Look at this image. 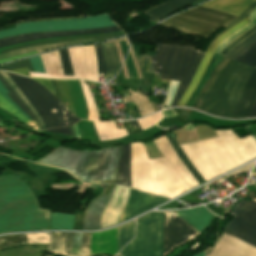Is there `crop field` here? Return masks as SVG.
<instances>
[{
    "instance_id": "1",
    "label": "crop field",
    "mask_w": 256,
    "mask_h": 256,
    "mask_svg": "<svg viewBox=\"0 0 256 256\" xmlns=\"http://www.w3.org/2000/svg\"><path fill=\"white\" fill-rule=\"evenodd\" d=\"M235 60L256 67V41ZM235 60H221L193 108L220 117L247 116L256 96V68Z\"/></svg>"
},
{
    "instance_id": "2",
    "label": "crop field",
    "mask_w": 256,
    "mask_h": 256,
    "mask_svg": "<svg viewBox=\"0 0 256 256\" xmlns=\"http://www.w3.org/2000/svg\"><path fill=\"white\" fill-rule=\"evenodd\" d=\"M50 211L41 210L24 182L12 175L0 177V233L49 229Z\"/></svg>"
},
{
    "instance_id": "3",
    "label": "crop field",
    "mask_w": 256,
    "mask_h": 256,
    "mask_svg": "<svg viewBox=\"0 0 256 256\" xmlns=\"http://www.w3.org/2000/svg\"><path fill=\"white\" fill-rule=\"evenodd\" d=\"M121 148L116 146L95 152H82L59 146L35 162L60 167L82 181L115 183Z\"/></svg>"
},
{
    "instance_id": "4",
    "label": "crop field",
    "mask_w": 256,
    "mask_h": 256,
    "mask_svg": "<svg viewBox=\"0 0 256 256\" xmlns=\"http://www.w3.org/2000/svg\"><path fill=\"white\" fill-rule=\"evenodd\" d=\"M194 49L188 46L157 45L154 57L151 56L153 77L181 80L172 106L179 102L204 55ZM136 58L141 71L151 73L150 56Z\"/></svg>"
},
{
    "instance_id": "5",
    "label": "crop field",
    "mask_w": 256,
    "mask_h": 256,
    "mask_svg": "<svg viewBox=\"0 0 256 256\" xmlns=\"http://www.w3.org/2000/svg\"><path fill=\"white\" fill-rule=\"evenodd\" d=\"M115 25L109 15H100L97 17H85L80 20L69 21H45V22H28L18 24L13 29L0 32V38L22 33L41 32V31H53V30H68V29H82L102 26ZM121 31L118 26L83 29V30H69V31H56V32H41L24 34L20 36L8 37L0 39V48L23 42H29L34 40H40L52 37L72 36V35H84L94 33L105 32H117Z\"/></svg>"
},
{
    "instance_id": "6",
    "label": "crop field",
    "mask_w": 256,
    "mask_h": 256,
    "mask_svg": "<svg viewBox=\"0 0 256 256\" xmlns=\"http://www.w3.org/2000/svg\"><path fill=\"white\" fill-rule=\"evenodd\" d=\"M254 1L255 0H211L203 6L238 15ZM203 6H199L168 19L160 25L166 28L172 26L184 33L202 35L208 38L215 30L236 17V15Z\"/></svg>"
},
{
    "instance_id": "7",
    "label": "crop field",
    "mask_w": 256,
    "mask_h": 256,
    "mask_svg": "<svg viewBox=\"0 0 256 256\" xmlns=\"http://www.w3.org/2000/svg\"><path fill=\"white\" fill-rule=\"evenodd\" d=\"M8 74L41 116L47 129L68 126L80 120L36 81L16 74Z\"/></svg>"
},
{
    "instance_id": "8",
    "label": "crop field",
    "mask_w": 256,
    "mask_h": 256,
    "mask_svg": "<svg viewBox=\"0 0 256 256\" xmlns=\"http://www.w3.org/2000/svg\"><path fill=\"white\" fill-rule=\"evenodd\" d=\"M164 212H151L136 220L135 238L119 256H162Z\"/></svg>"
},
{
    "instance_id": "9",
    "label": "crop field",
    "mask_w": 256,
    "mask_h": 256,
    "mask_svg": "<svg viewBox=\"0 0 256 256\" xmlns=\"http://www.w3.org/2000/svg\"><path fill=\"white\" fill-rule=\"evenodd\" d=\"M231 215L234 219L226 225L224 232L256 246V202H238Z\"/></svg>"
},
{
    "instance_id": "10",
    "label": "crop field",
    "mask_w": 256,
    "mask_h": 256,
    "mask_svg": "<svg viewBox=\"0 0 256 256\" xmlns=\"http://www.w3.org/2000/svg\"><path fill=\"white\" fill-rule=\"evenodd\" d=\"M199 234L179 216L172 212H165L163 256L170 253L175 247L194 239Z\"/></svg>"
},
{
    "instance_id": "11",
    "label": "crop field",
    "mask_w": 256,
    "mask_h": 256,
    "mask_svg": "<svg viewBox=\"0 0 256 256\" xmlns=\"http://www.w3.org/2000/svg\"><path fill=\"white\" fill-rule=\"evenodd\" d=\"M169 199L131 189L127 204L121 215V222L154 208Z\"/></svg>"
},
{
    "instance_id": "12",
    "label": "crop field",
    "mask_w": 256,
    "mask_h": 256,
    "mask_svg": "<svg viewBox=\"0 0 256 256\" xmlns=\"http://www.w3.org/2000/svg\"><path fill=\"white\" fill-rule=\"evenodd\" d=\"M247 22H249L248 18L246 17L244 20H242L239 24L235 25L234 27H232L231 29L227 30L226 32L220 34L210 45L209 49L207 50V52L205 53L196 73L195 76L192 80V82L190 83V85L188 86V88L186 89L184 95L182 96L180 102L178 103L177 106H184V104L186 103L187 99L189 98V96L192 94V92L195 90L200 78L202 77L208 62L214 52V50L217 48V46L231 33H233L234 31H236L237 29H239L240 27H242L244 24H246ZM248 24V23H247Z\"/></svg>"
},
{
    "instance_id": "13",
    "label": "crop field",
    "mask_w": 256,
    "mask_h": 256,
    "mask_svg": "<svg viewBox=\"0 0 256 256\" xmlns=\"http://www.w3.org/2000/svg\"><path fill=\"white\" fill-rule=\"evenodd\" d=\"M115 185H107L104 192L90 201L84 217L83 230H94L99 228L100 217L113 192Z\"/></svg>"
},
{
    "instance_id": "14",
    "label": "crop field",
    "mask_w": 256,
    "mask_h": 256,
    "mask_svg": "<svg viewBox=\"0 0 256 256\" xmlns=\"http://www.w3.org/2000/svg\"><path fill=\"white\" fill-rule=\"evenodd\" d=\"M90 233H83L81 256H90ZM73 233H53L51 252L57 255L74 256L70 254Z\"/></svg>"
},
{
    "instance_id": "15",
    "label": "crop field",
    "mask_w": 256,
    "mask_h": 256,
    "mask_svg": "<svg viewBox=\"0 0 256 256\" xmlns=\"http://www.w3.org/2000/svg\"><path fill=\"white\" fill-rule=\"evenodd\" d=\"M100 254L117 255V227L92 233L91 256Z\"/></svg>"
},
{
    "instance_id": "16",
    "label": "crop field",
    "mask_w": 256,
    "mask_h": 256,
    "mask_svg": "<svg viewBox=\"0 0 256 256\" xmlns=\"http://www.w3.org/2000/svg\"><path fill=\"white\" fill-rule=\"evenodd\" d=\"M175 213L200 233L211 216L204 207L193 208L185 211H175Z\"/></svg>"
},
{
    "instance_id": "17",
    "label": "crop field",
    "mask_w": 256,
    "mask_h": 256,
    "mask_svg": "<svg viewBox=\"0 0 256 256\" xmlns=\"http://www.w3.org/2000/svg\"><path fill=\"white\" fill-rule=\"evenodd\" d=\"M50 233L27 234V244L49 243ZM12 244H26V234L0 237V248ZM49 250V244H46Z\"/></svg>"
},
{
    "instance_id": "18",
    "label": "crop field",
    "mask_w": 256,
    "mask_h": 256,
    "mask_svg": "<svg viewBox=\"0 0 256 256\" xmlns=\"http://www.w3.org/2000/svg\"><path fill=\"white\" fill-rule=\"evenodd\" d=\"M195 1L197 0H171L163 5L145 12V14L159 22L162 18L192 4Z\"/></svg>"
},
{
    "instance_id": "19",
    "label": "crop field",
    "mask_w": 256,
    "mask_h": 256,
    "mask_svg": "<svg viewBox=\"0 0 256 256\" xmlns=\"http://www.w3.org/2000/svg\"><path fill=\"white\" fill-rule=\"evenodd\" d=\"M116 183L126 184L131 186V173H130V144L124 145L122 148Z\"/></svg>"
},
{
    "instance_id": "20",
    "label": "crop field",
    "mask_w": 256,
    "mask_h": 256,
    "mask_svg": "<svg viewBox=\"0 0 256 256\" xmlns=\"http://www.w3.org/2000/svg\"><path fill=\"white\" fill-rule=\"evenodd\" d=\"M102 47L108 69V76L113 77L121 65L116 44H106L102 45Z\"/></svg>"
},
{
    "instance_id": "21",
    "label": "crop field",
    "mask_w": 256,
    "mask_h": 256,
    "mask_svg": "<svg viewBox=\"0 0 256 256\" xmlns=\"http://www.w3.org/2000/svg\"><path fill=\"white\" fill-rule=\"evenodd\" d=\"M134 220L118 227V252L134 236Z\"/></svg>"
},
{
    "instance_id": "22",
    "label": "crop field",
    "mask_w": 256,
    "mask_h": 256,
    "mask_svg": "<svg viewBox=\"0 0 256 256\" xmlns=\"http://www.w3.org/2000/svg\"><path fill=\"white\" fill-rule=\"evenodd\" d=\"M74 215L71 214H54L51 216V230L55 229H72Z\"/></svg>"
},
{
    "instance_id": "23",
    "label": "crop field",
    "mask_w": 256,
    "mask_h": 256,
    "mask_svg": "<svg viewBox=\"0 0 256 256\" xmlns=\"http://www.w3.org/2000/svg\"><path fill=\"white\" fill-rule=\"evenodd\" d=\"M0 81L6 87L10 94L7 96L23 111L25 112L32 120H35L38 127L41 129L38 119L36 116L28 109V107L23 103V101L18 97V95L12 90V88L7 84V82L0 75Z\"/></svg>"
},
{
    "instance_id": "24",
    "label": "crop field",
    "mask_w": 256,
    "mask_h": 256,
    "mask_svg": "<svg viewBox=\"0 0 256 256\" xmlns=\"http://www.w3.org/2000/svg\"><path fill=\"white\" fill-rule=\"evenodd\" d=\"M173 149L175 150L176 154L178 155V157L181 159V161L184 163V165L187 167V169L193 174V176L195 177V179L200 183H204L206 182L201 175L194 169V167L191 165V163L188 161V159L186 158V156L184 155V153L182 152V150L179 148L175 137H171L168 138Z\"/></svg>"
},
{
    "instance_id": "25",
    "label": "crop field",
    "mask_w": 256,
    "mask_h": 256,
    "mask_svg": "<svg viewBox=\"0 0 256 256\" xmlns=\"http://www.w3.org/2000/svg\"><path fill=\"white\" fill-rule=\"evenodd\" d=\"M1 75L5 78V80L8 82V84L13 88V90L19 95V97L25 102V104L30 108V110L37 116L39 119L43 129H46L40 116L37 114V112L34 110V108L31 106L29 101L26 99V97L23 95V93L20 91V89L16 86V84L11 80V78L6 74V72H0Z\"/></svg>"
},
{
    "instance_id": "26",
    "label": "crop field",
    "mask_w": 256,
    "mask_h": 256,
    "mask_svg": "<svg viewBox=\"0 0 256 256\" xmlns=\"http://www.w3.org/2000/svg\"><path fill=\"white\" fill-rule=\"evenodd\" d=\"M255 40H256V31L252 35H250L248 38H246L244 41H242L240 44H238L236 47H234L226 56L234 59L242 51H244L249 45H251Z\"/></svg>"
},
{
    "instance_id": "27",
    "label": "crop field",
    "mask_w": 256,
    "mask_h": 256,
    "mask_svg": "<svg viewBox=\"0 0 256 256\" xmlns=\"http://www.w3.org/2000/svg\"><path fill=\"white\" fill-rule=\"evenodd\" d=\"M0 107L9 111L14 116L18 117L26 125L30 126L29 120L24 118L1 94H0Z\"/></svg>"
},
{
    "instance_id": "28",
    "label": "crop field",
    "mask_w": 256,
    "mask_h": 256,
    "mask_svg": "<svg viewBox=\"0 0 256 256\" xmlns=\"http://www.w3.org/2000/svg\"><path fill=\"white\" fill-rule=\"evenodd\" d=\"M59 54H60L64 74L65 75H74L72 66H71V62H70V58H69V54H68V50L67 49L59 50Z\"/></svg>"
},
{
    "instance_id": "29",
    "label": "crop field",
    "mask_w": 256,
    "mask_h": 256,
    "mask_svg": "<svg viewBox=\"0 0 256 256\" xmlns=\"http://www.w3.org/2000/svg\"><path fill=\"white\" fill-rule=\"evenodd\" d=\"M253 27V26H252ZM256 30V25L251 28L250 30L244 32L241 36L235 38L233 41H231L220 53V55L227 54L234 46H236L238 43H240L242 40H244L246 37H248L250 34H252Z\"/></svg>"
},
{
    "instance_id": "30",
    "label": "crop field",
    "mask_w": 256,
    "mask_h": 256,
    "mask_svg": "<svg viewBox=\"0 0 256 256\" xmlns=\"http://www.w3.org/2000/svg\"><path fill=\"white\" fill-rule=\"evenodd\" d=\"M24 67H28L29 71L34 72L28 58L25 60L7 64L4 66H0V70H8V69H16V68H24Z\"/></svg>"
},
{
    "instance_id": "31",
    "label": "crop field",
    "mask_w": 256,
    "mask_h": 256,
    "mask_svg": "<svg viewBox=\"0 0 256 256\" xmlns=\"http://www.w3.org/2000/svg\"><path fill=\"white\" fill-rule=\"evenodd\" d=\"M94 48L96 53L98 72L107 71L101 45L94 46Z\"/></svg>"
},
{
    "instance_id": "32",
    "label": "crop field",
    "mask_w": 256,
    "mask_h": 256,
    "mask_svg": "<svg viewBox=\"0 0 256 256\" xmlns=\"http://www.w3.org/2000/svg\"><path fill=\"white\" fill-rule=\"evenodd\" d=\"M123 34H124V33L111 34V35H103V36H93V39L110 38V37H115V36H119V35H123ZM83 38H91V37H83ZM74 39H78V38H74ZM65 40H71V39H65ZM55 41H63V40L45 41V42H41V43H35V44L24 45V46L16 47V48L9 49V50H6V51H2L1 53L7 52V51H10V50H14V49H17V48H21V47L32 46V45H38V44H43V43H48V42H55Z\"/></svg>"
},
{
    "instance_id": "33",
    "label": "crop field",
    "mask_w": 256,
    "mask_h": 256,
    "mask_svg": "<svg viewBox=\"0 0 256 256\" xmlns=\"http://www.w3.org/2000/svg\"><path fill=\"white\" fill-rule=\"evenodd\" d=\"M255 7H256V1L252 5H250L245 11H243L237 18L233 19L231 22L224 25L223 27H225L227 29L230 28L232 25L237 23L239 20L246 17Z\"/></svg>"
},
{
    "instance_id": "34",
    "label": "crop field",
    "mask_w": 256,
    "mask_h": 256,
    "mask_svg": "<svg viewBox=\"0 0 256 256\" xmlns=\"http://www.w3.org/2000/svg\"><path fill=\"white\" fill-rule=\"evenodd\" d=\"M122 123H123L128 134L141 131V128H140L137 120L129 121V122H122Z\"/></svg>"
},
{
    "instance_id": "35",
    "label": "crop field",
    "mask_w": 256,
    "mask_h": 256,
    "mask_svg": "<svg viewBox=\"0 0 256 256\" xmlns=\"http://www.w3.org/2000/svg\"><path fill=\"white\" fill-rule=\"evenodd\" d=\"M125 64H126V67H127L128 73H129V77L130 78H138L131 55H130V52L127 55Z\"/></svg>"
},
{
    "instance_id": "36",
    "label": "crop field",
    "mask_w": 256,
    "mask_h": 256,
    "mask_svg": "<svg viewBox=\"0 0 256 256\" xmlns=\"http://www.w3.org/2000/svg\"><path fill=\"white\" fill-rule=\"evenodd\" d=\"M81 236H82V233H75L72 251H71L72 254H76V255L80 254Z\"/></svg>"
},
{
    "instance_id": "37",
    "label": "crop field",
    "mask_w": 256,
    "mask_h": 256,
    "mask_svg": "<svg viewBox=\"0 0 256 256\" xmlns=\"http://www.w3.org/2000/svg\"><path fill=\"white\" fill-rule=\"evenodd\" d=\"M30 61H31V64L33 66V69L35 72H44L43 70V66H42V61H41V57L40 55L39 56H36V57H31L29 58Z\"/></svg>"
},
{
    "instance_id": "38",
    "label": "crop field",
    "mask_w": 256,
    "mask_h": 256,
    "mask_svg": "<svg viewBox=\"0 0 256 256\" xmlns=\"http://www.w3.org/2000/svg\"><path fill=\"white\" fill-rule=\"evenodd\" d=\"M48 132H53V133H58V134H66V135H71V131L69 127H64V128H56V129H50V130H45ZM72 136V135H71Z\"/></svg>"
},
{
    "instance_id": "39",
    "label": "crop field",
    "mask_w": 256,
    "mask_h": 256,
    "mask_svg": "<svg viewBox=\"0 0 256 256\" xmlns=\"http://www.w3.org/2000/svg\"><path fill=\"white\" fill-rule=\"evenodd\" d=\"M0 93L12 104L14 105L25 117L30 119L25 113H23L5 94H8L7 90L0 83ZM31 120V119H30Z\"/></svg>"
},
{
    "instance_id": "40",
    "label": "crop field",
    "mask_w": 256,
    "mask_h": 256,
    "mask_svg": "<svg viewBox=\"0 0 256 256\" xmlns=\"http://www.w3.org/2000/svg\"><path fill=\"white\" fill-rule=\"evenodd\" d=\"M33 54H37V51L35 52H31V53H27V54H23V55H19V56H15V57H11V58H7L4 60H0V63H4V62H8V61H12V60H16V59H20V58H24Z\"/></svg>"
},
{
    "instance_id": "41",
    "label": "crop field",
    "mask_w": 256,
    "mask_h": 256,
    "mask_svg": "<svg viewBox=\"0 0 256 256\" xmlns=\"http://www.w3.org/2000/svg\"><path fill=\"white\" fill-rule=\"evenodd\" d=\"M60 82H61V86H62L63 92H64V94H65V97H66V99H67V102H68V104H69V106H70L72 112L74 113V110H73L71 101H70V99H69L68 92H67V90H66V83H65V80H60Z\"/></svg>"
},
{
    "instance_id": "42",
    "label": "crop field",
    "mask_w": 256,
    "mask_h": 256,
    "mask_svg": "<svg viewBox=\"0 0 256 256\" xmlns=\"http://www.w3.org/2000/svg\"><path fill=\"white\" fill-rule=\"evenodd\" d=\"M34 80H36L38 83H40L41 85H43L44 87H46L47 89H49L51 92L52 89H51V85H50V81L49 80H45V79H35V78H32ZM53 94V93H52ZM54 95V94H53Z\"/></svg>"
},
{
    "instance_id": "43",
    "label": "crop field",
    "mask_w": 256,
    "mask_h": 256,
    "mask_svg": "<svg viewBox=\"0 0 256 256\" xmlns=\"http://www.w3.org/2000/svg\"><path fill=\"white\" fill-rule=\"evenodd\" d=\"M8 71H11V72H14V73H17V74H21V75H25V76H30L29 73H28L27 68L16 69V70H8Z\"/></svg>"
},
{
    "instance_id": "44",
    "label": "crop field",
    "mask_w": 256,
    "mask_h": 256,
    "mask_svg": "<svg viewBox=\"0 0 256 256\" xmlns=\"http://www.w3.org/2000/svg\"><path fill=\"white\" fill-rule=\"evenodd\" d=\"M119 43H120L121 51H122L123 58H124V56L126 54V51H127V45H126L125 41H122V42H119Z\"/></svg>"
},
{
    "instance_id": "45",
    "label": "crop field",
    "mask_w": 256,
    "mask_h": 256,
    "mask_svg": "<svg viewBox=\"0 0 256 256\" xmlns=\"http://www.w3.org/2000/svg\"><path fill=\"white\" fill-rule=\"evenodd\" d=\"M255 116H256V100L251 108V111H250L248 117H255Z\"/></svg>"
},
{
    "instance_id": "46",
    "label": "crop field",
    "mask_w": 256,
    "mask_h": 256,
    "mask_svg": "<svg viewBox=\"0 0 256 256\" xmlns=\"http://www.w3.org/2000/svg\"><path fill=\"white\" fill-rule=\"evenodd\" d=\"M0 126L4 127V122L0 120Z\"/></svg>"
},
{
    "instance_id": "47",
    "label": "crop field",
    "mask_w": 256,
    "mask_h": 256,
    "mask_svg": "<svg viewBox=\"0 0 256 256\" xmlns=\"http://www.w3.org/2000/svg\"><path fill=\"white\" fill-rule=\"evenodd\" d=\"M206 252V251H205ZM205 252H203V253H201V254H199V255H197V256H204L205 254Z\"/></svg>"
},
{
    "instance_id": "48",
    "label": "crop field",
    "mask_w": 256,
    "mask_h": 256,
    "mask_svg": "<svg viewBox=\"0 0 256 256\" xmlns=\"http://www.w3.org/2000/svg\"><path fill=\"white\" fill-rule=\"evenodd\" d=\"M253 172H256V168L254 169V171Z\"/></svg>"
},
{
    "instance_id": "49",
    "label": "crop field",
    "mask_w": 256,
    "mask_h": 256,
    "mask_svg": "<svg viewBox=\"0 0 256 256\" xmlns=\"http://www.w3.org/2000/svg\"><path fill=\"white\" fill-rule=\"evenodd\" d=\"M255 137H256V135H255Z\"/></svg>"
}]
</instances>
